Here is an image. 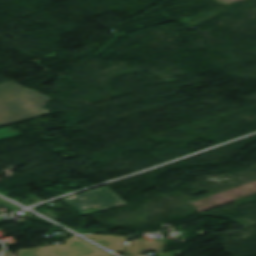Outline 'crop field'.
Instances as JSON below:
<instances>
[{"mask_svg":"<svg viewBox=\"0 0 256 256\" xmlns=\"http://www.w3.org/2000/svg\"><path fill=\"white\" fill-rule=\"evenodd\" d=\"M51 98L12 81L0 85V127L51 114L42 106Z\"/></svg>","mask_w":256,"mask_h":256,"instance_id":"obj_1","label":"crop field"},{"mask_svg":"<svg viewBox=\"0 0 256 256\" xmlns=\"http://www.w3.org/2000/svg\"><path fill=\"white\" fill-rule=\"evenodd\" d=\"M62 200L82 216L128 204L106 186Z\"/></svg>","mask_w":256,"mask_h":256,"instance_id":"obj_2","label":"crop field"},{"mask_svg":"<svg viewBox=\"0 0 256 256\" xmlns=\"http://www.w3.org/2000/svg\"><path fill=\"white\" fill-rule=\"evenodd\" d=\"M48 256H110V254L77 237H71L65 240V245L49 246Z\"/></svg>","mask_w":256,"mask_h":256,"instance_id":"obj_3","label":"crop field"},{"mask_svg":"<svg viewBox=\"0 0 256 256\" xmlns=\"http://www.w3.org/2000/svg\"><path fill=\"white\" fill-rule=\"evenodd\" d=\"M86 237L100 243L101 245L117 252H123L128 237L117 235H86Z\"/></svg>","mask_w":256,"mask_h":256,"instance_id":"obj_4","label":"crop field"},{"mask_svg":"<svg viewBox=\"0 0 256 256\" xmlns=\"http://www.w3.org/2000/svg\"><path fill=\"white\" fill-rule=\"evenodd\" d=\"M18 136H22V134L18 133L17 131H15L9 127L0 129V141L18 137Z\"/></svg>","mask_w":256,"mask_h":256,"instance_id":"obj_5","label":"crop field"},{"mask_svg":"<svg viewBox=\"0 0 256 256\" xmlns=\"http://www.w3.org/2000/svg\"><path fill=\"white\" fill-rule=\"evenodd\" d=\"M46 246L17 251V256H37L38 253H45Z\"/></svg>","mask_w":256,"mask_h":256,"instance_id":"obj_6","label":"crop field"},{"mask_svg":"<svg viewBox=\"0 0 256 256\" xmlns=\"http://www.w3.org/2000/svg\"><path fill=\"white\" fill-rule=\"evenodd\" d=\"M180 251H175V252H167V253H160V254H157V256H173L175 254H179Z\"/></svg>","mask_w":256,"mask_h":256,"instance_id":"obj_7","label":"crop field"}]
</instances>
